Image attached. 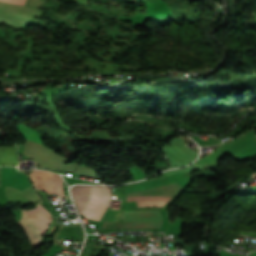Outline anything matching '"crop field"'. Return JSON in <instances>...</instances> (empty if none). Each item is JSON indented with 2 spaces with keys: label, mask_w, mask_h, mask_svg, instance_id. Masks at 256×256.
I'll return each instance as SVG.
<instances>
[{
  "label": "crop field",
  "mask_w": 256,
  "mask_h": 256,
  "mask_svg": "<svg viewBox=\"0 0 256 256\" xmlns=\"http://www.w3.org/2000/svg\"><path fill=\"white\" fill-rule=\"evenodd\" d=\"M174 182L175 181L169 175V176H166V177H161V178H157V179H152V180H148V181H143V182L130 184V185H127L125 187H126L127 193H129V192H133V191L152 188V187L161 186V185H165V184H170V183H174Z\"/></svg>",
  "instance_id": "obj_5"
},
{
  "label": "crop field",
  "mask_w": 256,
  "mask_h": 256,
  "mask_svg": "<svg viewBox=\"0 0 256 256\" xmlns=\"http://www.w3.org/2000/svg\"><path fill=\"white\" fill-rule=\"evenodd\" d=\"M30 176L36 188L49 194L58 193L59 197L64 196L62 178L59 175L45 171H33Z\"/></svg>",
  "instance_id": "obj_4"
},
{
  "label": "crop field",
  "mask_w": 256,
  "mask_h": 256,
  "mask_svg": "<svg viewBox=\"0 0 256 256\" xmlns=\"http://www.w3.org/2000/svg\"><path fill=\"white\" fill-rule=\"evenodd\" d=\"M15 127L24 136L25 139L43 144L40 140L39 133L36 130L29 128L22 123L17 124Z\"/></svg>",
  "instance_id": "obj_7"
},
{
  "label": "crop field",
  "mask_w": 256,
  "mask_h": 256,
  "mask_svg": "<svg viewBox=\"0 0 256 256\" xmlns=\"http://www.w3.org/2000/svg\"><path fill=\"white\" fill-rule=\"evenodd\" d=\"M71 193L81 215L100 221L110 202L109 187L74 186Z\"/></svg>",
  "instance_id": "obj_1"
},
{
  "label": "crop field",
  "mask_w": 256,
  "mask_h": 256,
  "mask_svg": "<svg viewBox=\"0 0 256 256\" xmlns=\"http://www.w3.org/2000/svg\"><path fill=\"white\" fill-rule=\"evenodd\" d=\"M25 212L32 219V221L37 225V227L42 231V233H45L52 219V216L50 215V213L40 205L34 211H25ZM25 212L24 211L22 212L21 220L18 223L22 226V228L30 238L31 244L33 245L41 241L40 236H42L43 234L35 226V224L30 220V218L25 214Z\"/></svg>",
  "instance_id": "obj_3"
},
{
  "label": "crop field",
  "mask_w": 256,
  "mask_h": 256,
  "mask_svg": "<svg viewBox=\"0 0 256 256\" xmlns=\"http://www.w3.org/2000/svg\"><path fill=\"white\" fill-rule=\"evenodd\" d=\"M16 154L14 146L0 147V166H16Z\"/></svg>",
  "instance_id": "obj_6"
},
{
  "label": "crop field",
  "mask_w": 256,
  "mask_h": 256,
  "mask_svg": "<svg viewBox=\"0 0 256 256\" xmlns=\"http://www.w3.org/2000/svg\"><path fill=\"white\" fill-rule=\"evenodd\" d=\"M123 222H104L102 228H160V211H122Z\"/></svg>",
  "instance_id": "obj_2"
}]
</instances>
